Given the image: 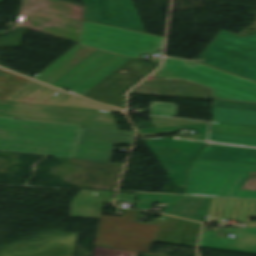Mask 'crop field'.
<instances>
[{
	"label": "crop field",
	"mask_w": 256,
	"mask_h": 256,
	"mask_svg": "<svg viewBox=\"0 0 256 256\" xmlns=\"http://www.w3.org/2000/svg\"><path fill=\"white\" fill-rule=\"evenodd\" d=\"M150 119L156 128L139 130L141 137H151L157 136V134L173 133L178 131V129H192L200 134L197 137L177 136L143 139L147 146L169 143L186 155L195 159L206 144L205 138L207 135L208 123L162 117H150Z\"/></svg>",
	"instance_id": "crop-field-7"
},
{
	"label": "crop field",
	"mask_w": 256,
	"mask_h": 256,
	"mask_svg": "<svg viewBox=\"0 0 256 256\" xmlns=\"http://www.w3.org/2000/svg\"><path fill=\"white\" fill-rule=\"evenodd\" d=\"M172 180L182 188L186 186L188 171L193 159L169 144L149 147Z\"/></svg>",
	"instance_id": "crop-field-14"
},
{
	"label": "crop field",
	"mask_w": 256,
	"mask_h": 256,
	"mask_svg": "<svg viewBox=\"0 0 256 256\" xmlns=\"http://www.w3.org/2000/svg\"><path fill=\"white\" fill-rule=\"evenodd\" d=\"M212 132L256 136V128L212 123Z\"/></svg>",
	"instance_id": "crop-field-18"
},
{
	"label": "crop field",
	"mask_w": 256,
	"mask_h": 256,
	"mask_svg": "<svg viewBox=\"0 0 256 256\" xmlns=\"http://www.w3.org/2000/svg\"><path fill=\"white\" fill-rule=\"evenodd\" d=\"M201 224L163 215L155 241L195 247Z\"/></svg>",
	"instance_id": "crop-field-13"
},
{
	"label": "crop field",
	"mask_w": 256,
	"mask_h": 256,
	"mask_svg": "<svg viewBox=\"0 0 256 256\" xmlns=\"http://www.w3.org/2000/svg\"><path fill=\"white\" fill-rule=\"evenodd\" d=\"M5 100L122 112L114 107L96 104L85 98L63 93L33 80Z\"/></svg>",
	"instance_id": "crop-field-10"
},
{
	"label": "crop field",
	"mask_w": 256,
	"mask_h": 256,
	"mask_svg": "<svg viewBox=\"0 0 256 256\" xmlns=\"http://www.w3.org/2000/svg\"><path fill=\"white\" fill-rule=\"evenodd\" d=\"M82 127L0 118V151L73 158Z\"/></svg>",
	"instance_id": "crop-field-1"
},
{
	"label": "crop field",
	"mask_w": 256,
	"mask_h": 256,
	"mask_svg": "<svg viewBox=\"0 0 256 256\" xmlns=\"http://www.w3.org/2000/svg\"><path fill=\"white\" fill-rule=\"evenodd\" d=\"M198 62L256 81V34L220 31Z\"/></svg>",
	"instance_id": "crop-field-4"
},
{
	"label": "crop field",
	"mask_w": 256,
	"mask_h": 256,
	"mask_svg": "<svg viewBox=\"0 0 256 256\" xmlns=\"http://www.w3.org/2000/svg\"><path fill=\"white\" fill-rule=\"evenodd\" d=\"M30 79L0 69V100L5 99Z\"/></svg>",
	"instance_id": "crop-field-16"
},
{
	"label": "crop field",
	"mask_w": 256,
	"mask_h": 256,
	"mask_svg": "<svg viewBox=\"0 0 256 256\" xmlns=\"http://www.w3.org/2000/svg\"><path fill=\"white\" fill-rule=\"evenodd\" d=\"M135 132L84 126L74 158L110 162L114 145L132 143Z\"/></svg>",
	"instance_id": "crop-field-9"
},
{
	"label": "crop field",
	"mask_w": 256,
	"mask_h": 256,
	"mask_svg": "<svg viewBox=\"0 0 256 256\" xmlns=\"http://www.w3.org/2000/svg\"><path fill=\"white\" fill-rule=\"evenodd\" d=\"M84 20L145 32L132 0H83Z\"/></svg>",
	"instance_id": "crop-field-8"
},
{
	"label": "crop field",
	"mask_w": 256,
	"mask_h": 256,
	"mask_svg": "<svg viewBox=\"0 0 256 256\" xmlns=\"http://www.w3.org/2000/svg\"><path fill=\"white\" fill-rule=\"evenodd\" d=\"M214 106L256 111V104H250V103H239V102H228V101L214 100Z\"/></svg>",
	"instance_id": "crop-field-19"
},
{
	"label": "crop field",
	"mask_w": 256,
	"mask_h": 256,
	"mask_svg": "<svg viewBox=\"0 0 256 256\" xmlns=\"http://www.w3.org/2000/svg\"><path fill=\"white\" fill-rule=\"evenodd\" d=\"M163 66L179 71L182 79L211 86L216 98L256 103V82L196 62L164 58Z\"/></svg>",
	"instance_id": "crop-field-3"
},
{
	"label": "crop field",
	"mask_w": 256,
	"mask_h": 256,
	"mask_svg": "<svg viewBox=\"0 0 256 256\" xmlns=\"http://www.w3.org/2000/svg\"><path fill=\"white\" fill-rule=\"evenodd\" d=\"M211 199L205 197L140 193L134 208L150 209L152 207L150 205L156 202H171L163 213L204 223Z\"/></svg>",
	"instance_id": "crop-field-11"
},
{
	"label": "crop field",
	"mask_w": 256,
	"mask_h": 256,
	"mask_svg": "<svg viewBox=\"0 0 256 256\" xmlns=\"http://www.w3.org/2000/svg\"><path fill=\"white\" fill-rule=\"evenodd\" d=\"M80 44L139 59L163 50L164 38L83 21Z\"/></svg>",
	"instance_id": "crop-field-5"
},
{
	"label": "crop field",
	"mask_w": 256,
	"mask_h": 256,
	"mask_svg": "<svg viewBox=\"0 0 256 256\" xmlns=\"http://www.w3.org/2000/svg\"><path fill=\"white\" fill-rule=\"evenodd\" d=\"M214 115V122L256 126L254 111L214 107Z\"/></svg>",
	"instance_id": "crop-field-15"
},
{
	"label": "crop field",
	"mask_w": 256,
	"mask_h": 256,
	"mask_svg": "<svg viewBox=\"0 0 256 256\" xmlns=\"http://www.w3.org/2000/svg\"><path fill=\"white\" fill-rule=\"evenodd\" d=\"M219 230L230 231L236 237L232 239L221 236L215 231H204L199 247L256 254V228Z\"/></svg>",
	"instance_id": "crop-field-12"
},
{
	"label": "crop field",
	"mask_w": 256,
	"mask_h": 256,
	"mask_svg": "<svg viewBox=\"0 0 256 256\" xmlns=\"http://www.w3.org/2000/svg\"><path fill=\"white\" fill-rule=\"evenodd\" d=\"M152 76H156V77H160V78H164V79H168V80H173V81H177L179 80V76L177 74V71L174 70H170L167 68L162 67L161 69H159L155 74H153ZM201 85V84H200ZM206 88H209V86H205L202 85Z\"/></svg>",
	"instance_id": "crop-field-20"
},
{
	"label": "crop field",
	"mask_w": 256,
	"mask_h": 256,
	"mask_svg": "<svg viewBox=\"0 0 256 256\" xmlns=\"http://www.w3.org/2000/svg\"><path fill=\"white\" fill-rule=\"evenodd\" d=\"M256 165L195 160L185 194L256 198V191L239 190Z\"/></svg>",
	"instance_id": "crop-field-2"
},
{
	"label": "crop field",
	"mask_w": 256,
	"mask_h": 256,
	"mask_svg": "<svg viewBox=\"0 0 256 256\" xmlns=\"http://www.w3.org/2000/svg\"><path fill=\"white\" fill-rule=\"evenodd\" d=\"M209 142L256 147V137L210 133Z\"/></svg>",
	"instance_id": "crop-field-17"
},
{
	"label": "crop field",
	"mask_w": 256,
	"mask_h": 256,
	"mask_svg": "<svg viewBox=\"0 0 256 256\" xmlns=\"http://www.w3.org/2000/svg\"><path fill=\"white\" fill-rule=\"evenodd\" d=\"M0 117L119 129L107 111L0 101Z\"/></svg>",
	"instance_id": "crop-field-6"
}]
</instances>
